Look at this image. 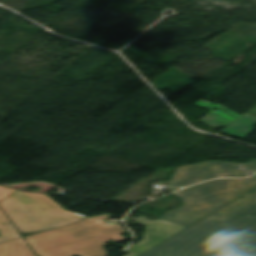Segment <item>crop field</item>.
I'll return each mask as SVG.
<instances>
[{"label": "crop field", "instance_id": "obj_1", "mask_svg": "<svg viewBox=\"0 0 256 256\" xmlns=\"http://www.w3.org/2000/svg\"><path fill=\"white\" fill-rule=\"evenodd\" d=\"M175 194L186 204L160 219L189 227L140 256H238L256 245V175Z\"/></svg>", "mask_w": 256, "mask_h": 256}, {"label": "crop field", "instance_id": "obj_2", "mask_svg": "<svg viewBox=\"0 0 256 256\" xmlns=\"http://www.w3.org/2000/svg\"><path fill=\"white\" fill-rule=\"evenodd\" d=\"M112 215L105 214L83 219L82 221L26 236L25 239L39 256H107L104 242H120L125 237V229L115 224L108 226L103 220Z\"/></svg>", "mask_w": 256, "mask_h": 256}, {"label": "crop field", "instance_id": "obj_3", "mask_svg": "<svg viewBox=\"0 0 256 256\" xmlns=\"http://www.w3.org/2000/svg\"><path fill=\"white\" fill-rule=\"evenodd\" d=\"M0 206L22 233L50 230L84 218L65 210L42 193H23L2 186Z\"/></svg>", "mask_w": 256, "mask_h": 256}, {"label": "crop field", "instance_id": "obj_4", "mask_svg": "<svg viewBox=\"0 0 256 256\" xmlns=\"http://www.w3.org/2000/svg\"><path fill=\"white\" fill-rule=\"evenodd\" d=\"M256 172V160L247 164L208 161L178 167L167 185L188 186L215 177H247Z\"/></svg>", "mask_w": 256, "mask_h": 256}, {"label": "crop field", "instance_id": "obj_5", "mask_svg": "<svg viewBox=\"0 0 256 256\" xmlns=\"http://www.w3.org/2000/svg\"><path fill=\"white\" fill-rule=\"evenodd\" d=\"M136 221L148 227L146 228L144 240L126 249V252L130 253L127 256H138L187 227L163 220L148 221L147 217L141 215Z\"/></svg>", "mask_w": 256, "mask_h": 256}, {"label": "crop field", "instance_id": "obj_6", "mask_svg": "<svg viewBox=\"0 0 256 256\" xmlns=\"http://www.w3.org/2000/svg\"><path fill=\"white\" fill-rule=\"evenodd\" d=\"M193 104L210 110L208 114L205 117H203L200 121L210 125L215 129L218 127H224L230 124L232 121H234L240 116L229 111L228 109L224 108L223 106L217 103H211L203 99ZM213 109H216L218 112H213ZM224 111H227V112H224ZM225 115H228V116H225Z\"/></svg>", "mask_w": 256, "mask_h": 256}, {"label": "crop field", "instance_id": "obj_7", "mask_svg": "<svg viewBox=\"0 0 256 256\" xmlns=\"http://www.w3.org/2000/svg\"><path fill=\"white\" fill-rule=\"evenodd\" d=\"M256 124V116L250 114L243 115L237 120L232 122L229 127L220 131L228 136H234L238 138H243L249 133L254 131L253 126Z\"/></svg>", "mask_w": 256, "mask_h": 256}, {"label": "crop field", "instance_id": "obj_8", "mask_svg": "<svg viewBox=\"0 0 256 256\" xmlns=\"http://www.w3.org/2000/svg\"><path fill=\"white\" fill-rule=\"evenodd\" d=\"M0 256H34L23 238L0 244Z\"/></svg>", "mask_w": 256, "mask_h": 256}, {"label": "crop field", "instance_id": "obj_9", "mask_svg": "<svg viewBox=\"0 0 256 256\" xmlns=\"http://www.w3.org/2000/svg\"><path fill=\"white\" fill-rule=\"evenodd\" d=\"M21 238L20 233L0 208V243Z\"/></svg>", "mask_w": 256, "mask_h": 256}, {"label": "crop field", "instance_id": "obj_10", "mask_svg": "<svg viewBox=\"0 0 256 256\" xmlns=\"http://www.w3.org/2000/svg\"><path fill=\"white\" fill-rule=\"evenodd\" d=\"M242 256H256V247L248 251L247 253L243 254Z\"/></svg>", "mask_w": 256, "mask_h": 256}]
</instances>
